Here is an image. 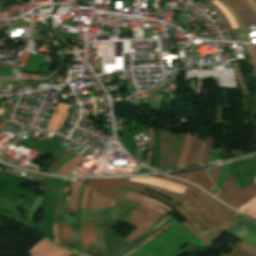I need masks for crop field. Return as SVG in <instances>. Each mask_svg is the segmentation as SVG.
<instances>
[{
  "instance_id": "obj_16",
  "label": "crop field",
  "mask_w": 256,
  "mask_h": 256,
  "mask_svg": "<svg viewBox=\"0 0 256 256\" xmlns=\"http://www.w3.org/2000/svg\"><path fill=\"white\" fill-rule=\"evenodd\" d=\"M115 199H106L97 193L93 192L92 195V202L90 208H107L112 207Z\"/></svg>"
},
{
  "instance_id": "obj_1",
  "label": "crop field",
  "mask_w": 256,
  "mask_h": 256,
  "mask_svg": "<svg viewBox=\"0 0 256 256\" xmlns=\"http://www.w3.org/2000/svg\"><path fill=\"white\" fill-rule=\"evenodd\" d=\"M196 188V187H194ZM193 186H188L181 198L187 202L177 207V212L180 213L187 221L194 223H213L231 217L237 213L218 202L211 196L207 195L200 189L196 188L204 199ZM197 196L213 213H211L195 196Z\"/></svg>"
},
{
  "instance_id": "obj_29",
  "label": "crop field",
  "mask_w": 256,
  "mask_h": 256,
  "mask_svg": "<svg viewBox=\"0 0 256 256\" xmlns=\"http://www.w3.org/2000/svg\"><path fill=\"white\" fill-rule=\"evenodd\" d=\"M229 169H230V163L225 164L224 167H223V170L221 172V176L219 178V181L216 185L219 190H220L221 186L223 185V183H224V181H225V179L228 175Z\"/></svg>"
},
{
  "instance_id": "obj_7",
  "label": "crop field",
  "mask_w": 256,
  "mask_h": 256,
  "mask_svg": "<svg viewBox=\"0 0 256 256\" xmlns=\"http://www.w3.org/2000/svg\"><path fill=\"white\" fill-rule=\"evenodd\" d=\"M127 179H92L86 186L103 196L116 198Z\"/></svg>"
},
{
  "instance_id": "obj_3",
  "label": "crop field",
  "mask_w": 256,
  "mask_h": 256,
  "mask_svg": "<svg viewBox=\"0 0 256 256\" xmlns=\"http://www.w3.org/2000/svg\"><path fill=\"white\" fill-rule=\"evenodd\" d=\"M152 212L153 210L149 208L130 202L129 205L126 207V209L122 212V214L118 218H122L125 222L135 227ZM162 216L163 215L154 211L139 225H137L136 226L137 229L124 240L128 242L133 240L134 238H136L137 235H139L140 233L145 231L147 228L155 224L157 220L160 219Z\"/></svg>"
},
{
  "instance_id": "obj_37",
  "label": "crop field",
  "mask_w": 256,
  "mask_h": 256,
  "mask_svg": "<svg viewBox=\"0 0 256 256\" xmlns=\"http://www.w3.org/2000/svg\"><path fill=\"white\" fill-rule=\"evenodd\" d=\"M229 247L233 248L229 256H253V255L243 252L231 245ZM222 256H225V255H222Z\"/></svg>"
},
{
  "instance_id": "obj_54",
  "label": "crop field",
  "mask_w": 256,
  "mask_h": 256,
  "mask_svg": "<svg viewBox=\"0 0 256 256\" xmlns=\"http://www.w3.org/2000/svg\"><path fill=\"white\" fill-rule=\"evenodd\" d=\"M242 2H243V4L248 8V6L245 4V2L243 1V0H241ZM248 10L250 11V13H251V15H252V17H253V19L255 20V22H256V17H255V15L252 13V11L248 8Z\"/></svg>"
},
{
  "instance_id": "obj_22",
  "label": "crop field",
  "mask_w": 256,
  "mask_h": 256,
  "mask_svg": "<svg viewBox=\"0 0 256 256\" xmlns=\"http://www.w3.org/2000/svg\"><path fill=\"white\" fill-rule=\"evenodd\" d=\"M84 158L80 157V156H75L73 159H71L68 163H66L65 165H63L60 169H59V173H70L74 168H76L78 165H76L77 163H79L81 160H83Z\"/></svg>"
},
{
  "instance_id": "obj_21",
  "label": "crop field",
  "mask_w": 256,
  "mask_h": 256,
  "mask_svg": "<svg viewBox=\"0 0 256 256\" xmlns=\"http://www.w3.org/2000/svg\"><path fill=\"white\" fill-rule=\"evenodd\" d=\"M80 185L74 183L72 193L69 201V212H76L77 208V197L80 190Z\"/></svg>"
},
{
  "instance_id": "obj_41",
  "label": "crop field",
  "mask_w": 256,
  "mask_h": 256,
  "mask_svg": "<svg viewBox=\"0 0 256 256\" xmlns=\"http://www.w3.org/2000/svg\"><path fill=\"white\" fill-rule=\"evenodd\" d=\"M219 1H221V2L230 10V12L233 14V16H234L236 22L238 23V25H239V27H240V30H241V32H242V34H243L244 41H245V42H248L247 39H246L245 33H244V31H243V29H242V27H241V25H240V23H239L237 17L235 16V14L232 12V10L228 7V5H227L223 0H219Z\"/></svg>"
},
{
  "instance_id": "obj_39",
  "label": "crop field",
  "mask_w": 256,
  "mask_h": 256,
  "mask_svg": "<svg viewBox=\"0 0 256 256\" xmlns=\"http://www.w3.org/2000/svg\"><path fill=\"white\" fill-rule=\"evenodd\" d=\"M70 184H71V181H64L63 183V186L61 189V196H60V200H62V202H65V194Z\"/></svg>"
},
{
  "instance_id": "obj_28",
  "label": "crop field",
  "mask_w": 256,
  "mask_h": 256,
  "mask_svg": "<svg viewBox=\"0 0 256 256\" xmlns=\"http://www.w3.org/2000/svg\"><path fill=\"white\" fill-rule=\"evenodd\" d=\"M165 136H166V132L161 130L160 161H159L158 169H162V167H163Z\"/></svg>"
},
{
  "instance_id": "obj_26",
  "label": "crop field",
  "mask_w": 256,
  "mask_h": 256,
  "mask_svg": "<svg viewBox=\"0 0 256 256\" xmlns=\"http://www.w3.org/2000/svg\"><path fill=\"white\" fill-rule=\"evenodd\" d=\"M127 243L128 242H126V241L120 239L119 237L111 234V244H112L113 252H115L116 250H118L119 248H121L122 246H124Z\"/></svg>"
},
{
  "instance_id": "obj_12",
  "label": "crop field",
  "mask_w": 256,
  "mask_h": 256,
  "mask_svg": "<svg viewBox=\"0 0 256 256\" xmlns=\"http://www.w3.org/2000/svg\"><path fill=\"white\" fill-rule=\"evenodd\" d=\"M255 195H256V184L255 182H253L225 202L236 209L241 204L251 199Z\"/></svg>"
},
{
  "instance_id": "obj_59",
  "label": "crop field",
  "mask_w": 256,
  "mask_h": 256,
  "mask_svg": "<svg viewBox=\"0 0 256 256\" xmlns=\"http://www.w3.org/2000/svg\"><path fill=\"white\" fill-rule=\"evenodd\" d=\"M251 159H254V160H256V157H252Z\"/></svg>"
},
{
  "instance_id": "obj_25",
  "label": "crop field",
  "mask_w": 256,
  "mask_h": 256,
  "mask_svg": "<svg viewBox=\"0 0 256 256\" xmlns=\"http://www.w3.org/2000/svg\"><path fill=\"white\" fill-rule=\"evenodd\" d=\"M191 135H192V133L186 132V140H185L184 148H183V151H182V154L179 159L177 167L182 166L186 159V156H187V153L189 150V146H190V142H191Z\"/></svg>"
},
{
  "instance_id": "obj_33",
  "label": "crop field",
  "mask_w": 256,
  "mask_h": 256,
  "mask_svg": "<svg viewBox=\"0 0 256 256\" xmlns=\"http://www.w3.org/2000/svg\"><path fill=\"white\" fill-rule=\"evenodd\" d=\"M202 149H203V142L199 139V143H198V146H197L196 155H195V157H194V162H193L192 165L201 163V162H200V157H201Z\"/></svg>"
},
{
  "instance_id": "obj_4",
  "label": "crop field",
  "mask_w": 256,
  "mask_h": 256,
  "mask_svg": "<svg viewBox=\"0 0 256 256\" xmlns=\"http://www.w3.org/2000/svg\"><path fill=\"white\" fill-rule=\"evenodd\" d=\"M131 179H135V180H138V181H142V182H145V183L156 185V186H159V187H162V188H165V189H168V190L180 193V194H183V192L186 189L185 186L173 184V183L166 182V181L159 180V179L152 178V177H133ZM131 179H128V181L126 182L125 185L131 186V187H136V188H141V189L152 190V191L161 193V194L169 197L170 199H172L174 201H177L181 204L186 202V201H184L183 199L180 198L181 197L180 194H177V193H174V192H171V191H168V190L156 187V186H152V185H149V184H145V183H142V182L131 180Z\"/></svg>"
},
{
  "instance_id": "obj_9",
  "label": "crop field",
  "mask_w": 256,
  "mask_h": 256,
  "mask_svg": "<svg viewBox=\"0 0 256 256\" xmlns=\"http://www.w3.org/2000/svg\"><path fill=\"white\" fill-rule=\"evenodd\" d=\"M171 221H173L177 226H179L187 235L184 236L182 239H180L179 241H177L175 244H173L172 246H170L168 249H166L164 252H162L161 254H158L156 256H168L172 253H174L175 251H177L179 248L183 247L184 245L188 244L191 241H195L199 246L203 247L205 246V243L199 241L195 235L190 232L185 226H183L181 223L177 222L175 219H173L171 216L168 218Z\"/></svg>"
},
{
  "instance_id": "obj_35",
  "label": "crop field",
  "mask_w": 256,
  "mask_h": 256,
  "mask_svg": "<svg viewBox=\"0 0 256 256\" xmlns=\"http://www.w3.org/2000/svg\"><path fill=\"white\" fill-rule=\"evenodd\" d=\"M182 224H184L188 229H190L198 239H200L201 241L205 242L206 245L212 243L210 242L209 240H207L205 237H203L202 235H200L199 233H197L193 228L192 226L189 224V223H186V222H182Z\"/></svg>"
},
{
  "instance_id": "obj_17",
  "label": "crop field",
  "mask_w": 256,
  "mask_h": 256,
  "mask_svg": "<svg viewBox=\"0 0 256 256\" xmlns=\"http://www.w3.org/2000/svg\"><path fill=\"white\" fill-rule=\"evenodd\" d=\"M236 210L256 220V197L251 199L246 204H244L243 206L239 207Z\"/></svg>"
},
{
  "instance_id": "obj_49",
  "label": "crop field",
  "mask_w": 256,
  "mask_h": 256,
  "mask_svg": "<svg viewBox=\"0 0 256 256\" xmlns=\"http://www.w3.org/2000/svg\"><path fill=\"white\" fill-rule=\"evenodd\" d=\"M88 190H89L88 188L85 189L84 199H83V203H82V210H85V203H86Z\"/></svg>"
},
{
  "instance_id": "obj_57",
  "label": "crop field",
  "mask_w": 256,
  "mask_h": 256,
  "mask_svg": "<svg viewBox=\"0 0 256 256\" xmlns=\"http://www.w3.org/2000/svg\"><path fill=\"white\" fill-rule=\"evenodd\" d=\"M212 190L217 194L218 189L214 186Z\"/></svg>"
},
{
  "instance_id": "obj_40",
  "label": "crop field",
  "mask_w": 256,
  "mask_h": 256,
  "mask_svg": "<svg viewBox=\"0 0 256 256\" xmlns=\"http://www.w3.org/2000/svg\"><path fill=\"white\" fill-rule=\"evenodd\" d=\"M224 1H225V2L229 5V7L235 12L236 16H237L238 19L240 20V22H241V24H242V26H243V28H244V30H245L246 36H247V38H248V41L251 42V41H250V38H249V35H248V32H247V30H246V28H245V26H244V24H243V22H242V19H241L240 15L237 13V11L234 9V7H233L228 1H226V0H224Z\"/></svg>"
},
{
  "instance_id": "obj_48",
  "label": "crop field",
  "mask_w": 256,
  "mask_h": 256,
  "mask_svg": "<svg viewBox=\"0 0 256 256\" xmlns=\"http://www.w3.org/2000/svg\"><path fill=\"white\" fill-rule=\"evenodd\" d=\"M217 153H218V150H215V151H212V152H211L210 158H209V162L216 160V158H217Z\"/></svg>"
},
{
  "instance_id": "obj_47",
  "label": "crop field",
  "mask_w": 256,
  "mask_h": 256,
  "mask_svg": "<svg viewBox=\"0 0 256 256\" xmlns=\"http://www.w3.org/2000/svg\"><path fill=\"white\" fill-rule=\"evenodd\" d=\"M240 190H241V188H239V187L237 186V187H236L235 189H233L225 198H223L222 201L228 199L229 197H231L232 195H234L235 193H237V192L240 191Z\"/></svg>"
},
{
  "instance_id": "obj_31",
  "label": "crop field",
  "mask_w": 256,
  "mask_h": 256,
  "mask_svg": "<svg viewBox=\"0 0 256 256\" xmlns=\"http://www.w3.org/2000/svg\"><path fill=\"white\" fill-rule=\"evenodd\" d=\"M248 231L246 230L244 227L240 226V227H233L230 230H228L227 232L234 235L235 237L242 239L243 234Z\"/></svg>"
},
{
  "instance_id": "obj_20",
  "label": "crop field",
  "mask_w": 256,
  "mask_h": 256,
  "mask_svg": "<svg viewBox=\"0 0 256 256\" xmlns=\"http://www.w3.org/2000/svg\"><path fill=\"white\" fill-rule=\"evenodd\" d=\"M207 6H209L210 8L213 9V11L217 14V16L221 19L222 25L226 31V33H230L233 32L232 28L227 20V18L225 17V15L220 11V9L218 7H216L214 4H212L211 2L206 4Z\"/></svg>"
},
{
  "instance_id": "obj_10",
  "label": "crop field",
  "mask_w": 256,
  "mask_h": 256,
  "mask_svg": "<svg viewBox=\"0 0 256 256\" xmlns=\"http://www.w3.org/2000/svg\"><path fill=\"white\" fill-rule=\"evenodd\" d=\"M173 176L190 180L205 189L206 191L216 195L210 190L214 185L211 183L209 177L207 176L205 169L193 172H186L182 174H174Z\"/></svg>"
},
{
  "instance_id": "obj_27",
  "label": "crop field",
  "mask_w": 256,
  "mask_h": 256,
  "mask_svg": "<svg viewBox=\"0 0 256 256\" xmlns=\"http://www.w3.org/2000/svg\"><path fill=\"white\" fill-rule=\"evenodd\" d=\"M212 140H213V137H207L206 139V144H205L204 153L202 157V163H206L208 161L209 153L212 148Z\"/></svg>"
},
{
  "instance_id": "obj_50",
  "label": "crop field",
  "mask_w": 256,
  "mask_h": 256,
  "mask_svg": "<svg viewBox=\"0 0 256 256\" xmlns=\"http://www.w3.org/2000/svg\"><path fill=\"white\" fill-rule=\"evenodd\" d=\"M245 1L250 6V8L253 10V12L256 14V7L253 5V3L250 0H245Z\"/></svg>"
},
{
  "instance_id": "obj_58",
  "label": "crop field",
  "mask_w": 256,
  "mask_h": 256,
  "mask_svg": "<svg viewBox=\"0 0 256 256\" xmlns=\"http://www.w3.org/2000/svg\"><path fill=\"white\" fill-rule=\"evenodd\" d=\"M84 180H85V179H81L80 182H79V184H81Z\"/></svg>"
},
{
  "instance_id": "obj_42",
  "label": "crop field",
  "mask_w": 256,
  "mask_h": 256,
  "mask_svg": "<svg viewBox=\"0 0 256 256\" xmlns=\"http://www.w3.org/2000/svg\"><path fill=\"white\" fill-rule=\"evenodd\" d=\"M75 155H77V153H72L70 156H68L66 159H64L61 163H59L58 165H57V167L55 168V170L53 171V172H57L58 171V169L63 165V164H65L67 161H69L71 158H73Z\"/></svg>"
},
{
  "instance_id": "obj_30",
  "label": "crop field",
  "mask_w": 256,
  "mask_h": 256,
  "mask_svg": "<svg viewBox=\"0 0 256 256\" xmlns=\"http://www.w3.org/2000/svg\"><path fill=\"white\" fill-rule=\"evenodd\" d=\"M215 1H216L218 4H220V5L224 8V10L227 12V14H228V15L230 16V18L232 19V21H233L235 27L238 28V26H237V24H236V22H235L233 16L230 14L229 10H228L227 8H225V7L223 6V4L220 3L219 1H217V0H215ZM216 2L213 1L212 3H214L216 6H218V7L221 9V11H222V12L226 15V17L228 18V20H229V22H230L232 28L234 29L235 27H234V25H233L231 19H230L229 16L226 14V12L222 9V7H221L220 5H218Z\"/></svg>"
},
{
  "instance_id": "obj_55",
  "label": "crop field",
  "mask_w": 256,
  "mask_h": 256,
  "mask_svg": "<svg viewBox=\"0 0 256 256\" xmlns=\"http://www.w3.org/2000/svg\"><path fill=\"white\" fill-rule=\"evenodd\" d=\"M58 203H59V201H58V202H57V204H56V208H55V212H54V219H53V223H55L56 211H57Z\"/></svg>"
},
{
  "instance_id": "obj_46",
  "label": "crop field",
  "mask_w": 256,
  "mask_h": 256,
  "mask_svg": "<svg viewBox=\"0 0 256 256\" xmlns=\"http://www.w3.org/2000/svg\"><path fill=\"white\" fill-rule=\"evenodd\" d=\"M222 167H223V166H219V167H216V169H215V174H214V177H213V179H212L215 184H216V182H217V180H218V178H219V175H220V172H221V170H222Z\"/></svg>"
},
{
  "instance_id": "obj_5",
  "label": "crop field",
  "mask_w": 256,
  "mask_h": 256,
  "mask_svg": "<svg viewBox=\"0 0 256 256\" xmlns=\"http://www.w3.org/2000/svg\"><path fill=\"white\" fill-rule=\"evenodd\" d=\"M176 226L175 224L172 225L171 227H169L168 229H166L164 232H162L160 235H158L152 242H150L149 244L145 245L144 247H142L141 249H139L138 251L134 252L133 254L129 255V256H154L162 251H164L166 248H168L170 245H172L173 243H175L177 240H179L180 238H182L184 235H186L179 227H175L171 232L170 230ZM178 229V230H177ZM177 230L175 233L174 231ZM182 231L180 234L179 232ZM168 232H170L169 234H167ZM174 233V234H173ZM165 234H167L164 238H162ZM171 234H173L170 238H168ZM179 234V235H178ZM178 235V236H177ZM177 236V237H176ZM174 237H176L172 242L168 243L171 239H173ZM162 238L161 240H159L158 242H156L158 239ZM168 238V239H167ZM165 239H167L164 243L160 244L159 246H157L159 243H161L162 241H164ZM156 242V243H155ZM155 243V244H154ZM168 243V244H167ZM167 244V245H166ZM166 245V246H164ZM157 246V247H156ZM164 246L163 248H160Z\"/></svg>"
},
{
  "instance_id": "obj_51",
  "label": "crop field",
  "mask_w": 256,
  "mask_h": 256,
  "mask_svg": "<svg viewBox=\"0 0 256 256\" xmlns=\"http://www.w3.org/2000/svg\"><path fill=\"white\" fill-rule=\"evenodd\" d=\"M247 47H248V51H249V54H250V56H251L252 62H253V64H254L255 71H256V64H255V61H254V57H253L252 51H251L249 45H247Z\"/></svg>"
},
{
  "instance_id": "obj_56",
  "label": "crop field",
  "mask_w": 256,
  "mask_h": 256,
  "mask_svg": "<svg viewBox=\"0 0 256 256\" xmlns=\"http://www.w3.org/2000/svg\"><path fill=\"white\" fill-rule=\"evenodd\" d=\"M251 46V49H252V51H253V54H254V57H255V60H256V53H255V51H254V49H253V46L252 45H250Z\"/></svg>"
},
{
  "instance_id": "obj_13",
  "label": "crop field",
  "mask_w": 256,
  "mask_h": 256,
  "mask_svg": "<svg viewBox=\"0 0 256 256\" xmlns=\"http://www.w3.org/2000/svg\"><path fill=\"white\" fill-rule=\"evenodd\" d=\"M82 248L95 247L93 223H81Z\"/></svg>"
},
{
  "instance_id": "obj_2",
  "label": "crop field",
  "mask_w": 256,
  "mask_h": 256,
  "mask_svg": "<svg viewBox=\"0 0 256 256\" xmlns=\"http://www.w3.org/2000/svg\"><path fill=\"white\" fill-rule=\"evenodd\" d=\"M169 217L165 215L162 219H160L155 225L147 229L145 232L137 236L129 244L125 245L115 253L110 256H123L127 252L136 248L139 244H141L145 239H147L150 235L156 232L159 228L165 225L169 220L166 218ZM30 253L32 256H88L84 253H76V251L71 250L69 248L64 247L58 243L52 245L46 240H41L38 244H36L33 248H31Z\"/></svg>"
},
{
  "instance_id": "obj_43",
  "label": "crop field",
  "mask_w": 256,
  "mask_h": 256,
  "mask_svg": "<svg viewBox=\"0 0 256 256\" xmlns=\"http://www.w3.org/2000/svg\"><path fill=\"white\" fill-rule=\"evenodd\" d=\"M72 152H74V151H70V152H68L66 155H64L62 158H60L58 161H56L55 163H53L52 165H50V167H49V169H48V171H53V169H54V167L59 163V162H61L64 158H66L68 155H70Z\"/></svg>"
},
{
  "instance_id": "obj_32",
  "label": "crop field",
  "mask_w": 256,
  "mask_h": 256,
  "mask_svg": "<svg viewBox=\"0 0 256 256\" xmlns=\"http://www.w3.org/2000/svg\"><path fill=\"white\" fill-rule=\"evenodd\" d=\"M244 242L256 247V234L247 232L244 236Z\"/></svg>"
},
{
  "instance_id": "obj_19",
  "label": "crop field",
  "mask_w": 256,
  "mask_h": 256,
  "mask_svg": "<svg viewBox=\"0 0 256 256\" xmlns=\"http://www.w3.org/2000/svg\"><path fill=\"white\" fill-rule=\"evenodd\" d=\"M123 190H127V191H131V192H136V193H140V194L152 196V197H154V198H156L157 196H159V197H161L162 199L166 200L167 202H169V203H171V204H173V205H175V206L179 205L178 203H176V202H174V201H171V200H169L168 198H166V197H164V196H161V195H158V194L153 193V192H149V191H145V190H140V189H135V188H130V187H126V186L123 187ZM157 199H159V200H161V201L167 203L166 201H164V200H162V199H160V198H158V197H157ZM169 203H167V204H169ZM171 204H169V205H171ZM173 205H171V206H173ZM175 206H173V207H175Z\"/></svg>"
},
{
  "instance_id": "obj_24",
  "label": "crop field",
  "mask_w": 256,
  "mask_h": 256,
  "mask_svg": "<svg viewBox=\"0 0 256 256\" xmlns=\"http://www.w3.org/2000/svg\"><path fill=\"white\" fill-rule=\"evenodd\" d=\"M154 132L155 129L150 127L149 130V139H148V157H147V163L152 166V160H153V141H154Z\"/></svg>"
},
{
  "instance_id": "obj_60",
  "label": "crop field",
  "mask_w": 256,
  "mask_h": 256,
  "mask_svg": "<svg viewBox=\"0 0 256 256\" xmlns=\"http://www.w3.org/2000/svg\"><path fill=\"white\" fill-rule=\"evenodd\" d=\"M0 122H2V120Z\"/></svg>"
},
{
  "instance_id": "obj_52",
  "label": "crop field",
  "mask_w": 256,
  "mask_h": 256,
  "mask_svg": "<svg viewBox=\"0 0 256 256\" xmlns=\"http://www.w3.org/2000/svg\"><path fill=\"white\" fill-rule=\"evenodd\" d=\"M91 195H92V190H90V191H89V195H88V199H87L86 208H89V206H90V202H91Z\"/></svg>"
},
{
  "instance_id": "obj_45",
  "label": "crop field",
  "mask_w": 256,
  "mask_h": 256,
  "mask_svg": "<svg viewBox=\"0 0 256 256\" xmlns=\"http://www.w3.org/2000/svg\"><path fill=\"white\" fill-rule=\"evenodd\" d=\"M134 202H136V201H134ZM137 203H139V204H141V205H144V206H147V207H149V208H152V209H154V210H156V211H158V212H160V213H162V214H166L167 212H165V211H163V210H161V209H159V208H157V207H155V206H153V205H150V204H146V203H142V202H137Z\"/></svg>"
},
{
  "instance_id": "obj_34",
  "label": "crop field",
  "mask_w": 256,
  "mask_h": 256,
  "mask_svg": "<svg viewBox=\"0 0 256 256\" xmlns=\"http://www.w3.org/2000/svg\"><path fill=\"white\" fill-rule=\"evenodd\" d=\"M232 178H233V176L228 175V177H227V179H226V182H225V184H224V186H223L221 192H220L216 197H218V198L221 199V198L224 196V194L227 192V190H228V188H229V185H230V183H231V181H232Z\"/></svg>"
},
{
  "instance_id": "obj_6",
  "label": "crop field",
  "mask_w": 256,
  "mask_h": 256,
  "mask_svg": "<svg viewBox=\"0 0 256 256\" xmlns=\"http://www.w3.org/2000/svg\"><path fill=\"white\" fill-rule=\"evenodd\" d=\"M185 139V133L179 135L168 133L166 137V151L164 158V168H174L178 162L179 155Z\"/></svg>"
},
{
  "instance_id": "obj_14",
  "label": "crop field",
  "mask_w": 256,
  "mask_h": 256,
  "mask_svg": "<svg viewBox=\"0 0 256 256\" xmlns=\"http://www.w3.org/2000/svg\"><path fill=\"white\" fill-rule=\"evenodd\" d=\"M118 198H128V199L142 200V201H146V202L155 204V205H157L161 208H164V209H166L170 212L174 210V209L170 208L169 206L165 205L164 203H162V202H160V201H158L154 198L143 196V195L136 194V193L122 191V193L119 195Z\"/></svg>"
},
{
  "instance_id": "obj_36",
  "label": "crop field",
  "mask_w": 256,
  "mask_h": 256,
  "mask_svg": "<svg viewBox=\"0 0 256 256\" xmlns=\"http://www.w3.org/2000/svg\"><path fill=\"white\" fill-rule=\"evenodd\" d=\"M173 223H169L167 226H165L164 228H162L160 231H158L156 234H154L153 236H151L149 239L145 240L140 246H138L135 250L131 251L130 253L126 254L125 256H128L129 254L133 253L134 251H136L137 249L141 248L143 245H145L146 243L150 242L154 237H156L161 231L165 230L166 228H168L170 225H172Z\"/></svg>"
},
{
  "instance_id": "obj_8",
  "label": "crop field",
  "mask_w": 256,
  "mask_h": 256,
  "mask_svg": "<svg viewBox=\"0 0 256 256\" xmlns=\"http://www.w3.org/2000/svg\"><path fill=\"white\" fill-rule=\"evenodd\" d=\"M237 224L239 223L234 218H230L228 220H224L212 225H191L197 232L205 236L210 241L214 242L219 238L222 232Z\"/></svg>"
},
{
  "instance_id": "obj_38",
  "label": "crop field",
  "mask_w": 256,
  "mask_h": 256,
  "mask_svg": "<svg viewBox=\"0 0 256 256\" xmlns=\"http://www.w3.org/2000/svg\"><path fill=\"white\" fill-rule=\"evenodd\" d=\"M240 247L243 251L256 255V248L241 241Z\"/></svg>"
},
{
  "instance_id": "obj_11",
  "label": "crop field",
  "mask_w": 256,
  "mask_h": 256,
  "mask_svg": "<svg viewBox=\"0 0 256 256\" xmlns=\"http://www.w3.org/2000/svg\"><path fill=\"white\" fill-rule=\"evenodd\" d=\"M69 108L70 105L58 103L46 130L57 132L65 122Z\"/></svg>"
},
{
  "instance_id": "obj_44",
  "label": "crop field",
  "mask_w": 256,
  "mask_h": 256,
  "mask_svg": "<svg viewBox=\"0 0 256 256\" xmlns=\"http://www.w3.org/2000/svg\"><path fill=\"white\" fill-rule=\"evenodd\" d=\"M155 177L161 178V179H164V180H168V181H171V182L179 183V184H182V185H186V186L188 185L187 183L181 182L177 179L168 178L166 176H155Z\"/></svg>"
},
{
  "instance_id": "obj_15",
  "label": "crop field",
  "mask_w": 256,
  "mask_h": 256,
  "mask_svg": "<svg viewBox=\"0 0 256 256\" xmlns=\"http://www.w3.org/2000/svg\"><path fill=\"white\" fill-rule=\"evenodd\" d=\"M228 1H230L232 5L235 7V9L239 12L246 27L255 25L254 20L252 19L246 7L240 2V0Z\"/></svg>"
},
{
  "instance_id": "obj_53",
  "label": "crop field",
  "mask_w": 256,
  "mask_h": 256,
  "mask_svg": "<svg viewBox=\"0 0 256 256\" xmlns=\"http://www.w3.org/2000/svg\"><path fill=\"white\" fill-rule=\"evenodd\" d=\"M53 232H54V235L58 238V236H57V224H53Z\"/></svg>"
},
{
  "instance_id": "obj_23",
  "label": "crop field",
  "mask_w": 256,
  "mask_h": 256,
  "mask_svg": "<svg viewBox=\"0 0 256 256\" xmlns=\"http://www.w3.org/2000/svg\"><path fill=\"white\" fill-rule=\"evenodd\" d=\"M198 139H199V133H193L191 147H190V150H189V153H188V156H187L184 166L191 165V163L193 161V157H194Z\"/></svg>"
},
{
  "instance_id": "obj_18",
  "label": "crop field",
  "mask_w": 256,
  "mask_h": 256,
  "mask_svg": "<svg viewBox=\"0 0 256 256\" xmlns=\"http://www.w3.org/2000/svg\"><path fill=\"white\" fill-rule=\"evenodd\" d=\"M62 229H63V242L66 244H72L71 224H62ZM58 235H59L60 241L62 242L61 224H58Z\"/></svg>"
}]
</instances>
